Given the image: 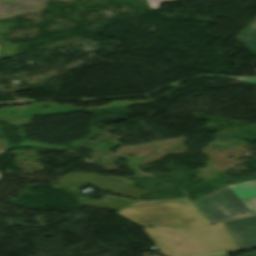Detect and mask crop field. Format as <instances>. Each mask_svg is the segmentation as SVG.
I'll return each mask as SVG.
<instances>
[{
	"label": "crop field",
	"instance_id": "crop-field-1",
	"mask_svg": "<svg viewBox=\"0 0 256 256\" xmlns=\"http://www.w3.org/2000/svg\"><path fill=\"white\" fill-rule=\"evenodd\" d=\"M164 256H197L238 249L223 223L200 228H143Z\"/></svg>",
	"mask_w": 256,
	"mask_h": 256
},
{
	"label": "crop field",
	"instance_id": "crop-field-2",
	"mask_svg": "<svg viewBox=\"0 0 256 256\" xmlns=\"http://www.w3.org/2000/svg\"><path fill=\"white\" fill-rule=\"evenodd\" d=\"M117 214L140 227H200L209 224L186 200L137 201Z\"/></svg>",
	"mask_w": 256,
	"mask_h": 256
},
{
	"label": "crop field",
	"instance_id": "crop-field-3",
	"mask_svg": "<svg viewBox=\"0 0 256 256\" xmlns=\"http://www.w3.org/2000/svg\"><path fill=\"white\" fill-rule=\"evenodd\" d=\"M192 202L211 223L253 214L228 186Z\"/></svg>",
	"mask_w": 256,
	"mask_h": 256
},
{
	"label": "crop field",
	"instance_id": "crop-field-4",
	"mask_svg": "<svg viewBox=\"0 0 256 256\" xmlns=\"http://www.w3.org/2000/svg\"><path fill=\"white\" fill-rule=\"evenodd\" d=\"M91 185L115 195L139 199L147 190L133 187L134 183L115 176H100L92 173H70L60 178L56 186L80 189Z\"/></svg>",
	"mask_w": 256,
	"mask_h": 256
},
{
	"label": "crop field",
	"instance_id": "crop-field-5",
	"mask_svg": "<svg viewBox=\"0 0 256 256\" xmlns=\"http://www.w3.org/2000/svg\"><path fill=\"white\" fill-rule=\"evenodd\" d=\"M239 249L256 247V216L225 222Z\"/></svg>",
	"mask_w": 256,
	"mask_h": 256
},
{
	"label": "crop field",
	"instance_id": "crop-field-6",
	"mask_svg": "<svg viewBox=\"0 0 256 256\" xmlns=\"http://www.w3.org/2000/svg\"><path fill=\"white\" fill-rule=\"evenodd\" d=\"M133 202H135V200H129V199L114 197L110 195H107L106 197H104L99 201L79 197V205L114 210V211H118Z\"/></svg>",
	"mask_w": 256,
	"mask_h": 256
},
{
	"label": "crop field",
	"instance_id": "crop-field-7",
	"mask_svg": "<svg viewBox=\"0 0 256 256\" xmlns=\"http://www.w3.org/2000/svg\"><path fill=\"white\" fill-rule=\"evenodd\" d=\"M229 187L256 214V180L230 185Z\"/></svg>",
	"mask_w": 256,
	"mask_h": 256
},
{
	"label": "crop field",
	"instance_id": "crop-field-8",
	"mask_svg": "<svg viewBox=\"0 0 256 256\" xmlns=\"http://www.w3.org/2000/svg\"><path fill=\"white\" fill-rule=\"evenodd\" d=\"M239 38L256 53V21L246 28Z\"/></svg>",
	"mask_w": 256,
	"mask_h": 256
},
{
	"label": "crop field",
	"instance_id": "crop-field-9",
	"mask_svg": "<svg viewBox=\"0 0 256 256\" xmlns=\"http://www.w3.org/2000/svg\"><path fill=\"white\" fill-rule=\"evenodd\" d=\"M5 151H6V150H5L4 144H3V142L0 141V154L3 153V152H5ZM0 176H1V175H0Z\"/></svg>",
	"mask_w": 256,
	"mask_h": 256
},
{
	"label": "crop field",
	"instance_id": "crop-field-10",
	"mask_svg": "<svg viewBox=\"0 0 256 256\" xmlns=\"http://www.w3.org/2000/svg\"><path fill=\"white\" fill-rule=\"evenodd\" d=\"M211 256H226V254L223 253V254H217V255H211Z\"/></svg>",
	"mask_w": 256,
	"mask_h": 256
}]
</instances>
